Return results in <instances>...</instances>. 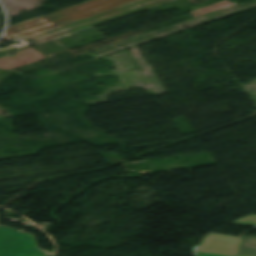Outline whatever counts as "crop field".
<instances>
[{"instance_id": "obj_1", "label": "crop field", "mask_w": 256, "mask_h": 256, "mask_svg": "<svg viewBox=\"0 0 256 256\" xmlns=\"http://www.w3.org/2000/svg\"><path fill=\"white\" fill-rule=\"evenodd\" d=\"M152 1L155 0H92L9 27L4 38H41Z\"/></svg>"}, {"instance_id": "obj_2", "label": "crop field", "mask_w": 256, "mask_h": 256, "mask_svg": "<svg viewBox=\"0 0 256 256\" xmlns=\"http://www.w3.org/2000/svg\"><path fill=\"white\" fill-rule=\"evenodd\" d=\"M36 251L31 235L0 225V256H32ZM36 253L34 256H48Z\"/></svg>"}, {"instance_id": "obj_3", "label": "crop field", "mask_w": 256, "mask_h": 256, "mask_svg": "<svg viewBox=\"0 0 256 256\" xmlns=\"http://www.w3.org/2000/svg\"><path fill=\"white\" fill-rule=\"evenodd\" d=\"M171 1H174V0H158V1H155V2H152L149 4H146V5H143L140 7H136V8H133V9L100 19V20H96V21H93V22L60 32V33H56V34H53V35H50V36H47V37H44L41 39H43L45 41L54 40V39L60 38L65 35H68V34H71V33H74V32H77V31H80V30H83V29H86V28H89V27H92L95 25H99V24H102V23H105V22H108V21H111V20H114L117 18H121V17L127 16V15H130V14H133V13L139 12V11H143V10H146V9H149V8L161 5V4H165V3H168Z\"/></svg>"}, {"instance_id": "obj_4", "label": "crop field", "mask_w": 256, "mask_h": 256, "mask_svg": "<svg viewBox=\"0 0 256 256\" xmlns=\"http://www.w3.org/2000/svg\"><path fill=\"white\" fill-rule=\"evenodd\" d=\"M238 256H256V237H243Z\"/></svg>"}]
</instances>
